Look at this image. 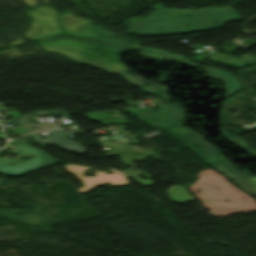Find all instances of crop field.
Instances as JSON below:
<instances>
[{
  "label": "crop field",
  "mask_w": 256,
  "mask_h": 256,
  "mask_svg": "<svg viewBox=\"0 0 256 256\" xmlns=\"http://www.w3.org/2000/svg\"><path fill=\"white\" fill-rule=\"evenodd\" d=\"M119 132H121V133H123V134H125V135H128V136H130V137H134V136H138V135H140V134H137V135L132 136V135H130V134H129V133H127V132H123L122 130H119Z\"/></svg>",
  "instance_id": "11"
},
{
  "label": "crop field",
  "mask_w": 256,
  "mask_h": 256,
  "mask_svg": "<svg viewBox=\"0 0 256 256\" xmlns=\"http://www.w3.org/2000/svg\"><path fill=\"white\" fill-rule=\"evenodd\" d=\"M67 135L69 134L61 130H53L52 138L47 140L45 143L55 144L60 149L72 151L77 154H82L87 150V148L65 139Z\"/></svg>",
  "instance_id": "2"
},
{
  "label": "crop field",
  "mask_w": 256,
  "mask_h": 256,
  "mask_svg": "<svg viewBox=\"0 0 256 256\" xmlns=\"http://www.w3.org/2000/svg\"><path fill=\"white\" fill-rule=\"evenodd\" d=\"M123 138H124V137H123ZM131 140H133V141H132V142H126V141H127L126 138L121 139V137H112V140H107V141H105V142L103 143V145H105V146H107V147H114V148L117 149V150H118V149L122 150V151H123V152H121L122 155L116 154V153H119V152H117V151H115V150H113V151H112L111 153H109L108 155H109V156H114V155H119V156H121V157H122V160H123V162H124V164L129 165V166H134V165L130 164V162H132V161H134V160H137V161H144V159H145L146 156H152V157L155 158V160L160 159L159 156H158V155L155 153V151H153V150H150L151 152H149V150L137 149V148H133V146L130 148L128 145H126L127 143L139 144V142H137L136 140H134V139H131ZM110 141H114V143H111ZM96 142L101 143V142H99V141H96ZM116 142L125 143V145H123L125 149L123 150L122 147H121V145H120V144H116ZM101 144H102V143H101ZM140 150H141L142 152H140ZM108 151H109V150H108ZM125 153H129L128 156H127ZM132 153H142L143 156H142V157H141V156H135V158H131V156H134ZM137 157H139V159H138ZM125 160L128 161V164L125 162Z\"/></svg>",
  "instance_id": "1"
},
{
  "label": "crop field",
  "mask_w": 256,
  "mask_h": 256,
  "mask_svg": "<svg viewBox=\"0 0 256 256\" xmlns=\"http://www.w3.org/2000/svg\"><path fill=\"white\" fill-rule=\"evenodd\" d=\"M30 116H23L21 119H19L17 122L23 127V129L26 131L27 134L35 132V131H39V130H34V129H30L32 126L38 127L42 129H50V128H55L54 124L44 121V122H40L37 119L33 118L35 121H37L40 124H28L27 121L29 119ZM29 126V127H27Z\"/></svg>",
  "instance_id": "4"
},
{
  "label": "crop field",
  "mask_w": 256,
  "mask_h": 256,
  "mask_svg": "<svg viewBox=\"0 0 256 256\" xmlns=\"http://www.w3.org/2000/svg\"><path fill=\"white\" fill-rule=\"evenodd\" d=\"M14 133H16L17 135L21 136V135H25V131L22 129V127H15V128H12Z\"/></svg>",
  "instance_id": "8"
},
{
  "label": "crop field",
  "mask_w": 256,
  "mask_h": 256,
  "mask_svg": "<svg viewBox=\"0 0 256 256\" xmlns=\"http://www.w3.org/2000/svg\"><path fill=\"white\" fill-rule=\"evenodd\" d=\"M8 114H12L15 119H19L21 117V115L19 113H11V112H9Z\"/></svg>",
  "instance_id": "10"
},
{
  "label": "crop field",
  "mask_w": 256,
  "mask_h": 256,
  "mask_svg": "<svg viewBox=\"0 0 256 256\" xmlns=\"http://www.w3.org/2000/svg\"><path fill=\"white\" fill-rule=\"evenodd\" d=\"M131 172H133V173H130L129 175H126L127 174L126 172H122V174L126 177V179L133 177L134 179H136L138 182H140L141 184H143L145 186H151V185L155 184L154 182H152L149 179H147L145 181H142V180L137 178V176H140V175H143V174H141V173H139L135 170H132Z\"/></svg>",
  "instance_id": "6"
},
{
  "label": "crop field",
  "mask_w": 256,
  "mask_h": 256,
  "mask_svg": "<svg viewBox=\"0 0 256 256\" xmlns=\"http://www.w3.org/2000/svg\"><path fill=\"white\" fill-rule=\"evenodd\" d=\"M56 112H62L64 114H66L65 111H62V110H57V111H43V112H34L36 115H39V116H42V115H45V114H53V113H56Z\"/></svg>",
  "instance_id": "7"
},
{
  "label": "crop field",
  "mask_w": 256,
  "mask_h": 256,
  "mask_svg": "<svg viewBox=\"0 0 256 256\" xmlns=\"http://www.w3.org/2000/svg\"><path fill=\"white\" fill-rule=\"evenodd\" d=\"M110 112L117 116V118H115L114 116H110ZM88 117L94 121L102 123L103 125H118L130 123L129 121V123L127 122V120L121 115L119 111L92 112L88 114Z\"/></svg>",
  "instance_id": "3"
},
{
  "label": "crop field",
  "mask_w": 256,
  "mask_h": 256,
  "mask_svg": "<svg viewBox=\"0 0 256 256\" xmlns=\"http://www.w3.org/2000/svg\"><path fill=\"white\" fill-rule=\"evenodd\" d=\"M35 142H37V143H44L46 140H40V139H38V134H36V135H31L30 136Z\"/></svg>",
  "instance_id": "9"
},
{
  "label": "crop field",
  "mask_w": 256,
  "mask_h": 256,
  "mask_svg": "<svg viewBox=\"0 0 256 256\" xmlns=\"http://www.w3.org/2000/svg\"><path fill=\"white\" fill-rule=\"evenodd\" d=\"M186 189L182 187H170L167 190L168 195L171 197L173 202L184 203L185 201H191L187 192H184ZM170 193H173L172 195Z\"/></svg>",
  "instance_id": "5"
}]
</instances>
